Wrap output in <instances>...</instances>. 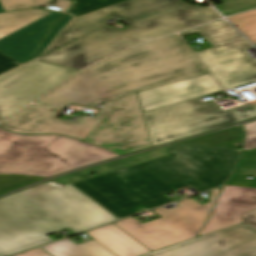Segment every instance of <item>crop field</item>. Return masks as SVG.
Here are the masks:
<instances>
[{
    "label": "crop field",
    "instance_id": "8a807250",
    "mask_svg": "<svg viewBox=\"0 0 256 256\" xmlns=\"http://www.w3.org/2000/svg\"><path fill=\"white\" fill-rule=\"evenodd\" d=\"M207 73L178 35L128 49L73 77L34 102L60 111L68 103L94 107L76 123L31 105L0 124L23 134H62L120 155L152 146L137 92Z\"/></svg>",
    "mask_w": 256,
    "mask_h": 256
},
{
    "label": "crop field",
    "instance_id": "ac0d7876",
    "mask_svg": "<svg viewBox=\"0 0 256 256\" xmlns=\"http://www.w3.org/2000/svg\"><path fill=\"white\" fill-rule=\"evenodd\" d=\"M169 156L73 185L119 219L172 202L163 194L189 185L201 193L222 186L240 150L174 144Z\"/></svg>",
    "mask_w": 256,
    "mask_h": 256
},
{
    "label": "crop field",
    "instance_id": "34b2d1b8",
    "mask_svg": "<svg viewBox=\"0 0 256 256\" xmlns=\"http://www.w3.org/2000/svg\"><path fill=\"white\" fill-rule=\"evenodd\" d=\"M117 17L130 27L106 26L38 60L82 69L120 50L221 18L210 6L180 0H127L74 18L45 52L82 36Z\"/></svg>",
    "mask_w": 256,
    "mask_h": 256
},
{
    "label": "crop field",
    "instance_id": "412701ff",
    "mask_svg": "<svg viewBox=\"0 0 256 256\" xmlns=\"http://www.w3.org/2000/svg\"><path fill=\"white\" fill-rule=\"evenodd\" d=\"M82 193L70 184L0 199V256L53 241L47 234L66 227L79 233L117 219Z\"/></svg>",
    "mask_w": 256,
    "mask_h": 256
},
{
    "label": "crop field",
    "instance_id": "f4fd0767",
    "mask_svg": "<svg viewBox=\"0 0 256 256\" xmlns=\"http://www.w3.org/2000/svg\"><path fill=\"white\" fill-rule=\"evenodd\" d=\"M115 156L63 136H22L0 129V174L50 177Z\"/></svg>",
    "mask_w": 256,
    "mask_h": 256
},
{
    "label": "crop field",
    "instance_id": "dd49c442",
    "mask_svg": "<svg viewBox=\"0 0 256 256\" xmlns=\"http://www.w3.org/2000/svg\"><path fill=\"white\" fill-rule=\"evenodd\" d=\"M201 98L144 112L152 145H159L256 117V102L222 111Z\"/></svg>",
    "mask_w": 256,
    "mask_h": 256
},
{
    "label": "crop field",
    "instance_id": "e52e79f7",
    "mask_svg": "<svg viewBox=\"0 0 256 256\" xmlns=\"http://www.w3.org/2000/svg\"><path fill=\"white\" fill-rule=\"evenodd\" d=\"M196 31L213 48L195 53L225 89L256 81V61L245 52L252 45L228 23L219 20L180 34Z\"/></svg>",
    "mask_w": 256,
    "mask_h": 256
},
{
    "label": "crop field",
    "instance_id": "d8731c3e",
    "mask_svg": "<svg viewBox=\"0 0 256 256\" xmlns=\"http://www.w3.org/2000/svg\"><path fill=\"white\" fill-rule=\"evenodd\" d=\"M221 188L214 189L209 203L193 198L177 202L178 208L153 210L163 218L141 224L133 217L114 222L137 241L154 251L193 237L205 225Z\"/></svg>",
    "mask_w": 256,
    "mask_h": 256
},
{
    "label": "crop field",
    "instance_id": "5a996713",
    "mask_svg": "<svg viewBox=\"0 0 256 256\" xmlns=\"http://www.w3.org/2000/svg\"><path fill=\"white\" fill-rule=\"evenodd\" d=\"M75 72L33 61L0 76V120L29 104Z\"/></svg>",
    "mask_w": 256,
    "mask_h": 256
},
{
    "label": "crop field",
    "instance_id": "3316defc",
    "mask_svg": "<svg viewBox=\"0 0 256 256\" xmlns=\"http://www.w3.org/2000/svg\"><path fill=\"white\" fill-rule=\"evenodd\" d=\"M144 256H256V229L238 224Z\"/></svg>",
    "mask_w": 256,
    "mask_h": 256
},
{
    "label": "crop field",
    "instance_id": "28ad6ade",
    "mask_svg": "<svg viewBox=\"0 0 256 256\" xmlns=\"http://www.w3.org/2000/svg\"><path fill=\"white\" fill-rule=\"evenodd\" d=\"M221 91L209 73L139 92L142 110L148 111Z\"/></svg>",
    "mask_w": 256,
    "mask_h": 256
},
{
    "label": "crop field",
    "instance_id": "d1516ede",
    "mask_svg": "<svg viewBox=\"0 0 256 256\" xmlns=\"http://www.w3.org/2000/svg\"><path fill=\"white\" fill-rule=\"evenodd\" d=\"M253 209H256V189L225 186L199 236L242 223L240 214Z\"/></svg>",
    "mask_w": 256,
    "mask_h": 256
},
{
    "label": "crop field",
    "instance_id": "22f410ed",
    "mask_svg": "<svg viewBox=\"0 0 256 256\" xmlns=\"http://www.w3.org/2000/svg\"><path fill=\"white\" fill-rule=\"evenodd\" d=\"M61 16H63V13L51 12L35 22L0 39V52L21 63L31 59L39 42L47 34L51 22Z\"/></svg>",
    "mask_w": 256,
    "mask_h": 256
},
{
    "label": "crop field",
    "instance_id": "cbeb9de0",
    "mask_svg": "<svg viewBox=\"0 0 256 256\" xmlns=\"http://www.w3.org/2000/svg\"><path fill=\"white\" fill-rule=\"evenodd\" d=\"M86 234L117 256H139L150 252L113 224L86 232Z\"/></svg>",
    "mask_w": 256,
    "mask_h": 256
},
{
    "label": "crop field",
    "instance_id": "5142ce71",
    "mask_svg": "<svg viewBox=\"0 0 256 256\" xmlns=\"http://www.w3.org/2000/svg\"><path fill=\"white\" fill-rule=\"evenodd\" d=\"M168 155V149L167 146L160 148V149H156L147 153H143L140 155H136L130 158H126L123 160H119L116 162H112V163H108V164H104V165H100L91 169H87V170H83V171H79L73 174H78L80 175V177H77L75 175L69 174L57 179H54L56 182H58L59 184H61L62 186H65L67 184L70 183H74V182H78L81 180H85V178L83 176L88 175V174H92V173H99V174H103V173H107L110 171H114L117 169H121L124 167H128L131 165H135V164H139L142 162H146L149 160H153L156 158H160L163 156H167Z\"/></svg>",
    "mask_w": 256,
    "mask_h": 256
},
{
    "label": "crop field",
    "instance_id": "d9b57169",
    "mask_svg": "<svg viewBox=\"0 0 256 256\" xmlns=\"http://www.w3.org/2000/svg\"><path fill=\"white\" fill-rule=\"evenodd\" d=\"M42 248L53 256H116L94 240L76 245L66 238Z\"/></svg>",
    "mask_w": 256,
    "mask_h": 256
},
{
    "label": "crop field",
    "instance_id": "733c2abd",
    "mask_svg": "<svg viewBox=\"0 0 256 256\" xmlns=\"http://www.w3.org/2000/svg\"><path fill=\"white\" fill-rule=\"evenodd\" d=\"M244 130L243 128L238 129L236 127L219 131L213 134L181 142V144H191L200 146H210L219 148H238L237 145H233L234 142L244 141Z\"/></svg>",
    "mask_w": 256,
    "mask_h": 256
},
{
    "label": "crop field",
    "instance_id": "4a817a6b",
    "mask_svg": "<svg viewBox=\"0 0 256 256\" xmlns=\"http://www.w3.org/2000/svg\"><path fill=\"white\" fill-rule=\"evenodd\" d=\"M49 12L32 9L0 14V38L18 30Z\"/></svg>",
    "mask_w": 256,
    "mask_h": 256
},
{
    "label": "crop field",
    "instance_id": "bc2a9ffb",
    "mask_svg": "<svg viewBox=\"0 0 256 256\" xmlns=\"http://www.w3.org/2000/svg\"><path fill=\"white\" fill-rule=\"evenodd\" d=\"M253 177L252 181L229 179L227 185L256 188V152L242 151L232 178Z\"/></svg>",
    "mask_w": 256,
    "mask_h": 256
},
{
    "label": "crop field",
    "instance_id": "214f88e0",
    "mask_svg": "<svg viewBox=\"0 0 256 256\" xmlns=\"http://www.w3.org/2000/svg\"><path fill=\"white\" fill-rule=\"evenodd\" d=\"M56 1L59 2L56 7L61 8V12H66L72 4L69 0ZM37 6L45 7L44 0H0V12L27 9Z\"/></svg>",
    "mask_w": 256,
    "mask_h": 256
},
{
    "label": "crop field",
    "instance_id": "92a150f3",
    "mask_svg": "<svg viewBox=\"0 0 256 256\" xmlns=\"http://www.w3.org/2000/svg\"><path fill=\"white\" fill-rule=\"evenodd\" d=\"M256 45V10L228 18Z\"/></svg>",
    "mask_w": 256,
    "mask_h": 256
},
{
    "label": "crop field",
    "instance_id": "dafd665d",
    "mask_svg": "<svg viewBox=\"0 0 256 256\" xmlns=\"http://www.w3.org/2000/svg\"><path fill=\"white\" fill-rule=\"evenodd\" d=\"M74 6L69 11V14L82 15L124 0H74Z\"/></svg>",
    "mask_w": 256,
    "mask_h": 256
},
{
    "label": "crop field",
    "instance_id": "00972430",
    "mask_svg": "<svg viewBox=\"0 0 256 256\" xmlns=\"http://www.w3.org/2000/svg\"><path fill=\"white\" fill-rule=\"evenodd\" d=\"M222 4L214 6L224 16L256 8V0H221Z\"/></svg>",
    "mask_w": 256,
    "mask_h": 256
},
{
    "label": "crop field",
    "instance_id": "a9b5d70f",
    "mask_svg": "<svg viewBox=\"0 0 256 256\" xmlns=\"http://www.w3.org/2000/svg\"><path fill=\"white\" fill-rule=\"evenodd\" d=\"M44 178L21 175H0V194L36 182Z\"/></svg>",
    "mask_w": 256,
    "mask_h": 256
},
{
    "label": "crop field",
    "instance_id": "4177f3b9",
    "mask_svg": "<svg viewBox=\"0 0 256 256\" xmlns=\"http://www.w3.org/2000/svg\"><path fill=\"white\" fill-rule=\"evenodd\" d=\"M245 142L243 150L256 151V122L244 125Z\"/></svg>",
    "mask_w": 256,
    "mask_h": 256
},
{
    "label": "crop field",
    "instance_id": "730fd06b",
    "mask_svg": "<svg viewBox=\"0 0 256 256\" xmlns=\"http://www.w3.org/2000/svg\"><path fill=\"white\" fill-rule=\"evenodd\" d=\"M71 16L67 15L65 16L61 21L54 24L53 29L49 36L44 40L42 46L40 47L39 51L35 56H39L44 49L47 47V45L56 37V35L59 33V31L70 21Z\"/></svg>",
    "mask_w": 256,
    "mask_h": 256
},
{
    "label": "crop field",
    "instance_id": "eef30255",
    "mask_svg": "<svg viewBox=\"0 0 256 256\" xmlns=\"http://www.w3.org/2000/svg\"><path fill=\"white\" fill-rule=\"evenodd\" d=\"M21 63L5 56L4 54L0 53V73L11 69Z\"/></svg>",
    "mask_w": 256,
    "mask_h": 256
},
{
    "label": "crop field",
    "instance_id": "ae1a2a85",
    "mask_svg": "<svg viewBox=\"0 0 256 256\" xmlns=\"http://www.w3.org/2000/svg\"><path fill=\"white\" fill-rule=\"evenodd\" d=\"M241 216L244 223H247L256 228V210L244 213Z\"/></svg>",
    "mask_w": 256,
    "mask_h": 256
},
{
    "label": "crop field",
    "instance_id": "d3111659",
    "mask_svg": "<svg viewBox=\"0 0 256 256\" xmlns=\"http://www.w3.org/2000/svg\"><path fill=\"white\" fill-rule=\"evenodd\" d=\"M52 189H55V188L53 186L47 184V185H43V186H40L38 188L29 190L25 193L29 196H33V195H36V194H39V193H42V192H46V191H49V190H52Z\"/></svg>",
    "mask_w": 256,
    "mask_h": 256
},
{
    "label": "crop field",
    "instance_id": "750c4746",
    "mask_svg": "<svg viewBox=\"0 0 256 256\" xmlns=\"http://www.w3.org/2000/svg\"><path fill=\"white\" fill-rule=\"evenodd\" d=\"M16 256H50V255L44 252L42 249L38 248V249H34Z\"/></svg>",
    "mask_w": 256,
    "mask_h": 256
},
{
    "label": "crop field",
    "instance_id": "bd1437ed",
    "mask_svg": "<svg viewBox=\"0 0 256 256\" xmlns=\"http://www.w3.org/2000/svg\"><path fill=\"white\" fill-rule=\"evenodd\" d=\"M217 11V10H216ZM223 16V15H222Z\"/></svg>",
    "mask_w": 256,
    "mask_h": 256
}]
</instances>
